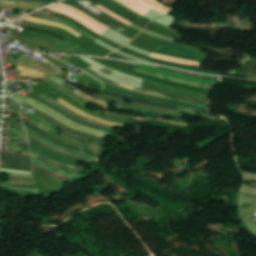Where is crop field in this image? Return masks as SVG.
Listing matches in <instances>:
<instances>
[{
	"label": "crop field",
	"instance_id": "45",
	"mask_svg": "<svg viewBox=\"0 0 256 256\" xmlns=\"http://www.w3.org/2000/svg\"><path fill=\"white\" fill-rule=\"evenodd\" d=\"M1 172V171H0ZM7 175H18V176H31V175H25V174H16V173H8V172H1Z\"/></svg>",
	"mask_w": 256,
	"mask_h": 256
},
{
	"label": "crop field",
	"instance_id": "1",
	"mask_svg": "<svg viewBox=\"0 0 256 256\" xmlns=\"http://www.w3.org/2000/svg\"><path fill=\"white\" fill-rule=\"evenodd\" d=\"M12 98H14L16 100H19V101H22V102H25V103L33 106L34 108H36V109L40 110L41 112L53 117L54 119H56L60 123L72 128V129L79 130V131L85 132L87 134L102 137V138H105V136L108 134V133H105V132H101V131H98V130H95V129H92V128H89V127H85V126L76 124V123L68 120L67 118H65L61 114H59L57 111L39 103V102H37L33 99H30L27 96L16 94V95L12 96Z\"/></svg>",
	"mask_w": 256,
	"mask_h": 256
},
{
	"label": "crop field",
	"instance_id": "17",
	"mask_svg": "<svg viewBox=\"0 0 256 256\" xmlns=\"http://www.w3.org/2000/svg\"><path fill=\"white\" fill-rule=\"evenodd\" d=\"M101 92H103L105 94L112 95V96H116V97H119V98H123V99H126V100H130V101H133V102L153 104V105H157V106H161V107H166V108H172V109H176V110L180 111V107H178V106H172V105H167V104H162V103H157V102L137 99V98H133V97L123 96V95H119V94L108 92V91H104V90H102Z\"/></svg>",
	"mask_w": 256,
	"mask_h": 256
},
{
	"label": "crop field",
	"instance_id": "16",
	"mask_svg": "<svg viewBox=\"0 0 256 256\" xmlns=\"http://www.w3.org/2000/svg\"><path fill=\"white\" fill-rule=\"evenodd\" d=\"M135 71L144 73V74H148V75H152L155 77H159L162 79H166V80H170V81H174V82H178V83H183V84H189V85H194V86H199V87H203V88H207V89H211L213 86L211 85H204V84H198V83H193V82H189V81H184V80H180V79H176V78H172V77H168L165 75H161V74H157V73H153L144 69H140V68H136Z\"/></svg>",
	"mask_w": 256,
	"mask_h": 256
},
{
	"label": "crop field",
	"instance_id": "6",
	"mask_svg": "<svg viewBox=\"0 0 256 256\" xmlns=\"http://www.w3.org/2000/svg\"><path fill=\"white\" fill-rule=\"evenodd\" d=\"M78 9H80L82 12H84L85 14H87L88 16L94 18L95 20L101 22L102 24L110 27L111 29L121 33L127 29H129L130 27L114 20L113 18L105 15V14H100L99 16L93 14L92 12L88 11L87 9L83 8V7H79Z\"/></svg>",
	"mask_w": 256,
	"mask_h": 256
},
{
	"label": "crop field",
	"instance_id": "40",
	"mask_svg": "<svg viewBox=\"0 0 256 256\" xmlns=\"http://www.w3.org/2000/svg\"><path fill=\"white\" fill-rule=\"evenodd\" d=\"M4 120L7 121V122L12 123L13 125L17 126V127L20 128L21 130L25 131V130H24V126H23L22 124H20V123L14 121V120H11V119H9V118H7V117H5Z\"/></svg>",
	"mask_w": 256,
	"mask_h": 256
},
{
	"label": "crop field",
	"instance_id": "4",
	"mask_svg": "<svg viewBox=\"0 0 256 256\" xmlns=\"http://www.w3.org/2000/svg\"><path fill=\"white\" fill-rule=\"evenodd\" d=\"M140 15H145L151 9L165 15L172 9L157 2L156 0H117Z\"/></svg>",
	"mask_w": 256,
	"mask_h": 256
},
{
	"label": "crop field",
	"instance_id": "26",
	"mask_svg": "<svg viewBox=\"0 0 256 256\" xmlns=\"http://www.w3.org/2000/svg\"><path fill=\"white\" fill-rule=\"evenodd\" d=\"M33 175H46L48 177L55 178V179L60 180L62 182L70 179L68 177H65V176H62V175H59V174H56V173L38 168V167H34V166H33Z\"/></svg>",
	"mask_w": 256,
	"mask_h": 256
},
{
	"label": "crop field",
	"instance_id": "20",
	"mask_svg": "<svg viewBox=\"0 0 256 256\" xmlns=\"http://www.w3.org/2000/svg\"><path fill=\"white\" fill-rule=\"evenodd\" d=\"M23 20L30 21V22L41 23V24H46V25H52V26H55V27H58V28H62V29L67 30L68 32H70L71 34H73L74 36H76L78 38L82 36L79 33H77L75 30H73L72 28L64 26V25H61V24H57V23L41 20V19H38V18H35V17H31V16H28V17H26Z\"/></svg>",
	"mask_w": 256,
	"mask_h": 256
},
{
	"label": "crop field",
	"instance_id": "9",
	"mask_svg": "<svg viewBox=\"0 0 256 256\" xmlns=\"http://www.w3.org/2000/svg\"><path fill=\"white\" fill-rule=\"evenodd\" d=\"M94 1H96L98 4L104 6L105 8L109 9L113 13L117 14L118 16L132 23L136 22L139 19L109 0H94Z\"/></svg>",
	"mask_w": 256,
	"mask_h": 256
},
{
	"label": "crop field",
	"instance_id": "35",
	"mask_svg": "<svg viewBox=\"0 0 256 256\" xmlns=\"http://www.w3.org/2000/svg\"><path fill=\"white\" fill-rule=\"evenodd\" d=\"M1 160L11 161V162H19V163H31V160L20 159V158H12V157H4V156H1Z\"/></svg>",
	"mask_w": 256,
	"mask_h": 256
},
{
	"label": "crop field",
	"instance_id": "28",
	"mask_svg": "<svg viewBox=\"0 0 256 256\" xmlns=\"http://www.w3.org/2000/svg\"><path fill=\"white\" fill-rule=\"evenodd\" d=\"M0 168L12 169V170H21V171H31V165L11 163V162H8L6 167L0 166Z\"/></svg>",
	"mask_w": 256,
	"mask_h": 256
},
{
	"label": "crop field",
	"instance_id": "33",
	"mask_svg": "<svg viewBox=\"0 0 256 256\" xmlns=\"http://www.w3.org/2000/svg\"><path fill=\"white\" fill-rule=\"evenodd\" d=\"M29 97H31V98H33V99H35V100H37V101H40V102H42V103H44V104H46V105H48V106L54 108L55 110L59 111V110H58L57 108H55L54 106H51V105L45 103L44 101H42V100H40V99H37V98H35V97L31 96V95H30ZM59 112H60L61 114H63L65 117H67V118H69L70 120H72V121H74V122H77V123H79V124H82V125H85V126H89V127L95 128V129H99V130H102V131H105V132H109V133L111 132V131H108V130H103V129H100V128H97V127H94V126H91V125H88V124H85V123H82V122H80V121L74 120V119H72L71 117H69L68 115L62 113L61 111H59Z\"/></svg>",
	"mask_w": 256,
	"mask_h": 256
},
{
	"label": "crop field",
	"instance_id": "21",
	"mask_svg": "<svg viewBox=\"0 0 256 256\" xmlns=\"http://www.w3.org/2000/svg\"><path fill=\"white\" fill-rule=\"evenodd\" d=\"M70 61L74 62L75 64L79 65L80 67L84 68L85 70L89 71L90 73L94 74L95 76H97V77H99V78H101V79H104V80H106V81H108V82H110V83H112V84H114V85L122 86V87H126V88H130V89H134V90H139V91L154 93V92H150V91H145V90H141V89H137V88H133V87H128V86L120 85V84H118V83L109 81V80H107V79H105V78H103V77H101V76L95 74V73L92 72L90 69H88V68H86V67L80 65L79 63L75 62L74 60L71 59ZM154 94L169 96V97H173V98H177V99H181V100H185V101H189V102H193V103H197V104H203V103H204V102H203V103H199V102H195V101H192V100H188V99H184V98H180V97H176V96H171V95H166V94H160V93H154ZM207 104H208V103H207ZM207 104H203V105H207ZM208 106H209V105H208Z\"/></svg>",
	"mask_w": 256,
	"mask_h": 256
},
{
	"label": "crop field",
	"instance_id": "2",
	"mask_svg": "<svg viewBox=\"0 0 256 256\" xmlns=\"http://www.w3.org/2000/svg\"><path fill=\"white\" fill-rule=\"evenodd\" d=\"M154 53L168 55L172 57L204 62L209 56L208 53L190 47L180 46L166 41L161 47L153 51Z\"/></svg>",
	"mask_w": 256,
	"mask_h": 256
},
{
	"label": "crop field",
	"instance_id": "22",
	"mask_svg": "<svg viewBox=\"0 0 256 256\" xmlns=\"http://www.w3.org/2000/svg\"><path fill=\"white\" fill-rule=\"evenodd\" d=\"M31 155L33 157H35V158H37V159L47 163V164L53 166V167H57V168H61V169H67V170H72V171H76V172H79V173H81L83 171V169H80V168H76V167H72V166H68V165H64V164H59V163H57L55 161L46 159V158H44V157H42L40 155H37V154H35L33 152H31Z\"/></svg>",
	"mask_w": 256,
	"mask_h": 256
},
{
	"label": "crop field",
	"instance_id": "31",
	"mask_svg": "<svg viewBox=\"0 0 256 256\" xmlns=\"http://www.w3.org/2000/svg\"><path fill=\"white\" fill-rule=\"evenodd\" d=\"M1 3L24 4V5L40 6V7L48 5V4L38 3V2H27V1H17V0H2Z\"/></svg>",
	"mask_w": 256,
	"mask_h": 256
},
{
	"label": "crop field",
	"instance_id": "32",
	"mask_svg": "<svg viewBox=\"0 0 256 256\" xmlns=\"http://www.w3.org/2000/svg\"><path fill=\"white\" fill-rule=\"evenodd\" d=\"M159 68L163 69V70H167V71H171V72L187 75V76H192V77H198V78H204V79H210V80L219 81V78L200 76V75H196V74H192V73H187V72H183V71H178V70H174V69H167V68H161V67H159Z\"/></svg>",
	"mask_w": 256,
	"mask_h": 256
},
{
	"label": "crop field",
	"instance_id": "10",
	"mask_svg": "<svg viewBox=\"0 0 256 256\" xmlns=\"http://www.w3.org/2000/svg\"><path fill=\"white\" fill-rule=\"evenodd\" d=\"M36 97H38V98H40V99H42V100H44V101H46V102H48V103H50V104H52V105H54V106L60 108V109L63 110L65 113H67L68 115H70L71 117H73V118H75V119H78V120H80V121H83V122L92 124V125L97 126V127H100V128L108 129V130H111V131H112V129H113V127H110V126H107V125H104V124H100V123L91 121V120L86 119V118H83V117H81V116H79V115H77V114H75V113H72V112H70L71 110L69 111V110L66 109L64 106H62V105L56 103L55 101H53V100H51V99H49V98H47V97H45V96H43V95H41V94L37 95ZM63 111H62V112H63Z\"/></svg>",
	"mask_w": 256,
	"mask_h": 256
},
{
	"label": "crop field",
	"instance_id": "25",
	"mask_svg": "<svg viewBox=\"0 0 256 256\" xmlns=\"http://www.w3.org/2000/svg\"><path fill=\"white\" fill-rule=\"evenodd\" d=\"M25 34L28 35V36H32V37L47 39V40H49V41H51V42H54V43H56V44H58V45L64 47L65 49H67V50L73 52L74 54H81V53H79L78 51H76L75 49H73L72 47H70V46H68V45H66V44H64V43H62V42H60V41H58V40H56V39H53V38H51V37H48V36H46V35L37 34V33H33V32H28V31H25Z\"/></svg>",
	"mask_w": 256,
	"mask_h": 256
},
{
	"label": "crop field",
	"instance_id": "29",
	"mask_svg": "<svg viewBox=\"0 0 256 256\" xmlns=\"http://www.w3.org/2000/svg\"><path fill=\"white\" fill-rule=\"evenodd\" d=\"M26 30L28 31H33V32H39V33H44V34H48L54 38H57L63 42H65L66 40H68V38L60 35V34H57V33H54V32H51V31H48V30H43V29H36V28H29V27H26Z\"/></svg>",
	"mask_w": 256,
	"mask_h": 256
},
{
	"label": "crop field",
	"instance_id": "3",
	"mask_svg": "<svg viewBox=\"0 0 256 256\" xmlns=\"http://www.w3.org/2000/svg\"><path fill=\"white\" fill-rule=\"evenodd\" d=\"M47 9H51V10L57 11L59 13L68 15V16L78 20L79 22H81L82 24H84L85 26H87L88 28L92 29L93 31H95L96 33H98L100 35L108 29V27H106V26L96 22L94 19L86 16L87 14L85 15L81 11L74 9L73 7L65 6L61 3H58V4L51 6Z\"/></svg>",
	"mask_w": 256,
	"mask_h": 256
},
{
	"label": "crop field",
	"instance_id": "5",
	"mask_svg": "<svg viewBox=\"0 0 256 256\" xmlns=\"http://www.w3.org/2000/svg\"><path fill=\"white\" fill-rule=\"evenodd\" d=\"M93 97H97V98H99L103 101L110 102V103L115 101V102H117L118 106L141 109V110H147V111H153V112H159V113H165V114H171V115L182 117L181 112L176 111V110L154 107V106H148V105L137 104V103L127 104V103H124L123 99H119V98L112 97V96H109V95H105V94H102V93H100L99 95L94 94Z\"/></svg>",
	"mask_w": 256,
	"mask_h": 256
},
{
	"label": "crop field",
	"instance_id": "23",
	"mask_svg": "<svg viewBox=\"0 0 256 256\" xmlns=\"http://www.w3.org/2000/svg\"><path fill=\"white\" fill-rule=\"evenodd\" d=\"M32 161H33V165H35V166H39V167H42V168H45V169L63 174V175L68 176L70 178L80 176V174L74 173L72 171H65V170L53 168V167H51V166H49L45 163H42V162L38 161L37 159H35L33 157H32Z\"/></svg>",
	"mask_w": 256,
	"mask_h": 256
},
{
	"label": "crop field",
	"instance_id": "12",
	"mask_svg": "<svg viewBox=\"0 0 256 256\" xmlns=\"http://www.w3.org/2000/svg\"><path fill=\"white\" fill-rule=\"evenodd\" d=\"M133 65L142 67V68L150 70V71L162 73V74H165V75H168V76H172V77H176V78H180V79H184V80H189V81H193V82L204 83V84H211V85H215L217 83L216 81H210V80H204V79H198V78H192V77H186V76L174 74V73L163 71V70H159V69L147 66V65H141V64H133Z\"/></svg>",
	"mask_w": 256,
	"mask_h": 256
},
{
	"label": "crop field",
	"instance_id": "37",
	"mask_svg": "<svg viewBox=\"0 0 256 256\" xmlns=\"http://www.w3.org/2000/svg\"><path fill=\"white\" fill-rule=\"evenodd\" d=\"M8 180H15V181H33L30 177H17V176H8Z\"/></svg>",
	"mask_w": 256,
	"mask_h": 256
},
{
	"label": "crop field",
	"instance_id": "24",
	"mask_svg": "<svg viewBox=\"0 0 256 256\" xmlns=\"http://www.w3.org/2000/svg\"><path fill=\"white\" fill-rule=\"evenodd\" d=\"M40 18H43V19H47V20H51V21H55V22H59V23H62L64 25H68L70 27H72L73 29H75L77 32L81 33L82 35H84L85 37L91 39V40H96V38H94L93 36H91L90 34L86 33L85 31H83L82 29H80L79 27L75 26L74 24L70 23V22H67L65 20H61V19H57V18H54V17H51L49 15H45V14H42Z\"/></svg>",
	"mask_w": 256,
	"mask_h": 256
},
{
	"label": "crop field",
	"instance_id": "41",
	"mask_svg": "<svg viewBox=\"0 0 256 256\" xmlns=\"http://www.w3.org/2000/svg\"><path fill=\"white\" fill-rule=\"evenodd\" d=\"M2 155L14 156V157H21V158L30 159V157H29L28 155H24V154L2 153Z\"/></svg>",
	"mask_w": 256,
	"mask_h": 256
},
{
	"label": "crop field",
	"instance_id": "13",
	"mask_svg": "<svg viewBox=\"0 0 256 256\" xmlns=\"http://www.w3.org/2000/svg\"><path fill=\"white\" fill-rule=\"evenodd\" d=\"M34 114H36V115H38V116H40V117H42V118L48 120L49 122H51V123L54 124L55 126H57V127L61 128V129L65 130V131H67V132H69V133H71V134H73V135L80 136V137H84V138L91 139V140L98 141V142H101V143L105 144L104 141H103V139L97 138V137H93V136H90V135H87V134H84V133H80V132H77V131H74V130H71V129H69V128L63 126V125L60 124L59 122H57V121H55V120L49 118L48 116H46L45 114L41 113V112L38 111V110H37Z\"/></svg>",
	"mask_w": 256,
	"mask_h": 256
},
{
	"label": "crop field",
	"instance_id": "7",
	"mask_svg": "<svg viewBox=\"0 0 256 256\" xmlns=\"http://www.w3.org/2000/svg\"><path fill=\"white\" fill-rule=\"evenodd\" d=\"M23 120V119H22ZM24 122V125L31 128L32 130H34L36 133H38L39 135L43 136L44 138L58 144V145H62V146H65V147H68L70 149H73V150H76V151H80V152H84V153H88V154H92V155H96V156H102V154H99V153H95V152H92V151H89V150H86V149H82V148H79V147H76V146H73L71 144H68V143H65V142H62L52 136H50L49 134L45 133L44 131H42L41 129H39L38 127L34 126L33 124L23 120Z\"/></svg>",
	"mask_w": 256,
	"mask_h": 256
},
{
	"label": "crop field",
	"instance_id": "42",
	"mask_svg": "<svg viewBox=\"0 0 256 256\" xmlns=\"http://www.w3.org/2000/svg\"><path fill=\"white\" fill-rule=\"evenodd\" d=\"M111 1H113V2L116 3V4H118V5L121 6L122 8L126 9V10L129 11L130 13H132V14H134V15L140 17V18L142 17V16L136 14L135 12L131 11V10L128 9L127 7L123 6L122 4L118 3L117 1H115V0H111Z\"/></svg>",
	"mask_w": 256,
	"mask_h": 256
},
{
	"label": "crop field",
	"instance_id": "36",
	"mask_svg": "<svg viewBox=\"0 0 256 256\" xmlns=\"http://www.w3.org/2000/svg\"><path fill=\"white\" fill-rule=\"evenodd\" d=\"M82 77L86 78L88 81H90L93 85H95L96 87L102 89L103 84L95 79H93L92 77L88 76V75H83Z\"/></svg>",
	"mask_w": 256,
	"mask_h": 256
},
{
	"label": "crop field",
	"instance_id": "11",
	"mask_svg": "<svg viewBox=\"0 0 256 256\" xmlns=\"http://www.w3.org/2000/svg\"><path fill=\"white\" fill-rule=\"evenodd\" d=\"M26 131H27V134L48 144L49 146L55 148V149H58V150H61V151H64V152H67L69 154H72L74 156H78V157H82V158H86V159H90V160H96V161H99V159L97 157H93V156H90V155H86V154H83V153H80V152H76V151H73V150H70L68 148H65V147H62V146H58V145H55L49 141H47L46 139L42 138L41 136H39L38 134H36L34 131L26 128Z\"/></svg>",
	"mask_w": 256,
	"mask_h": 256
},
{
	"label": "crop field",
	"instance_id": "44",
	"mask_svg": "<svg viewBox=\"0 0 256 256\" xmlns=\"http://www.w3.org/2000/svg\"><path fill=\"white\" fill-rule=\"evenodd\" d=\"M27 1H38V2H44V3L51 4V3H54L58 0H27Z\"/></svg>",
	"mask_w": 256,
	"mask_h": 256
},
{
	"label": "crop field",
	"instance_id": "19",
	"mask_svg": "<svg viewBox=\"0 0 256 256\" xmlns=\"http://www.w3.org/2000/svg\"><path fill=\"white\" fill-rule=\"evenodd\" d=\"M28 139H29L31 142L35 143L36 145H38V146H40V147H42V148H44V149H46V150H48V151H50V152L56 154V155L64 156V157H67V158H70V159H73V160H77V161H82V162L90 161V160H86V159L74 157V156L69 155V154H67V153H64V152L55 150V149H53V148H51V147L45 145L44 143H42V142H40V141H38V140H36V139L30 137V136H28ZM90 162H92V161H90Z\"/></svg>",
	"mask_w": 256,
	"mask_h": 256
},
{
	"label": "crop field",
	"instance_id": "43",
	"mask_svg": "<svg viewBox=\"0 0 256 256\" xmlns=\"http://www.w3.org/2000/svg\"><path fill=\"white\" fill-rule=\"evenodd\" d=\"M69 57H71L72 59L76 60L77 62H79L80 64H82L86 67L91 66V65L87 64L86 62L82 61L81 59H79L78 57H72V56H69Z\"/></svg>",
	"mask_w": 256,
	"mask_h": 256
},
{
	"label": "crop field",
	"instance_id": "14",
	"mask_svg": "<svg viewBox=\"0 0 256 256\" xmlns=\"http://www.w3.org/2000/svg\"><path fill=\"white\" fill-rule=\"evenodd\" d=\"M31 123L35 124L36 126H38L39 128H41L42 130L48 132L49 134L55 136L56 138L60 139V140H63V141H66L68 143H72L76 146H80V147H83V148H86V149H89V150H93V151H99L101 153H103L104 150H101V149H98V148H95V147H92L90 145H87V144H82V143H78L76 141H73L71 139H68V138H65L59 134H57L56 132L52 131L51 129H49L48 127L36 122V121H31Z\"/></svg>",
	"mask_w": 256,
	"mask_h": 256
},
{
	"label": "crop field",
	"instance_id": "34",
	"mask_svg": "<svg viewBox=\"0 0 256 256\" xmlns=\"http://www.w3.org/2000/svg\"><path fill=\"white\" fill-rule=\"evenodd\" d=\"M62 135L66 136L68 138H71V139H75V140L90 144V145L98 147V148L104 149L103 145H100V144H97V143H94V142H91V141H88V140H85V139H82V138H79V137H76V136H73V135H69V134H66L64 132H62Z\"/></svg>",
	"mask_w": 256,
	"mask_h": 256
},
{
	"label": "crop field",
	"instance_id": "8",
	"mask_svg": "<svg viewBox=\"0 0 256 256\" xmlns=\"http://www.w3.org/2000/svg\"><path fill=\"white\" fill-rule=\"evenodd\" d=\"M104 88L109 89V90H113V91H116V92L124 93V94H127V95H131V96L142 97V98H146V99H151V100L160 101V102H164V103H168V104L183 106V107H187V108H191V109H195V110H200V111H205V112L208 111V110H205V109L200 108V107L195 106V105L183 104V103H179V102H175V101H169V100L155 98V97H151V96H147V95L137 94V93L117 89V88H114V87H111V86H108V85H105Z\"/></svg>",
	"mask_w": 256,
	"mask_h": 256
},
{
	"label": "crop field",
	"instance_id": "30",
	"mask_svg": "<svg viewBox=\"0 0 256 256\" xmlns=\"http://www.w3.org/2000/svg\"><path fill=\"white\" fill-rule=\"evenodd\" d=\"M69 64H72V65H74V66L80 68L79 66L75 65L74 63H72V62H70V61H69ZM80 69L83 70V71H85V70L82 69V68H80ZM85 72L88 73L89 75L95 77L94 75L90 74L89 72H87V71H85ZM95 78H97V77H95ZM97 79H99V78H97ZM99 80H100L101 82L105 83V84L111 85V84H109V83H107V82H105V81H103V80H101V79H99ZM112 86H113V85H112ZM116 87H117V86H116ZM119 88H121V87H119ZM123 89H125V88H123ZM126 90H129V89H126ZM129 91H133V92H137V93H143V94H148V95H153V96H158V97H163V98H168V97H164V96H159V95H154V94H149V93H144V92H139V91H134V90H129ZM168 99H172V98H168ZM172 100H176V99H172ZM176 101H180V100H176ZM181 102H184V101H181ZM187 103H188V102H187ZM191 104H193V103H191ZM195 105H197V104H195ZM198 106L204 107V108H207V109L209 108L208 106H203V105H198Z\"/></svg>",
	"mask_w": 256,
	"mask_h": 256
},
{
	"label": "crop field",
	"instance_id": "39",
	"mask_svg": "<svg viewBox=\"0 0 256 256\" xmlns=\"http://www.w3.org/2000/svg\"><path fill=\"white\" fill-rule=\"evenodd\" d=\"M30 117L36 119L38 122H40V123H42V124H44V125L50 127L51 129H53V130L56 131V132H58L57 129H56V127L52 126L51 124L47 123L46 121H44V120H42V119H40V118H38V117H36V116H34V115H31Z\"/></svg>",
	"mask_w": 256,
	"mask_h": 256
},
{
	"label": "crop field",
	"instance_id": "27",
	"mask_svg": "<svg viewBox=\"0 0 256 256\" xmlns=\"http://www.w3.org/2000/svg\"><path fill=\"white\" fill-rule=\"evenodd\" d=\"M150 57L160 59V60H166V61H171V62H177V63H183V64H190V65H196L199 66L200 63L198 62H192V61H187V60H181V59H176V58H171L167 56H162L158 54L151 53Z\"/></svg>",
	"mask_w": 256,
	"mask_h": 256
},
{
	"label": "crop field",
	"instance_id": "15",
	"mask_svg": "<svg viewBox=\"0 0 256 256\" xmlns=\"http://www.w3.org/2000/svg\"><path fill=\"white\" fill-rule=\"evenodd\" d=\"M30 149L49 158V159H52V160H55V161H59V162H62V163H65V164H68V165H72V166H76V167H81V166H78L76 165V161H73V160H70V159H67V158H64V157H60V156H56V155H53L43 149H41L40 147L30 143ZM82 168H85V167H82Z\"/></svg>",
	"mask_w": 256,
	"mask_h": 256
},
{
	"label": "crop field",
	"instance_id": "18",
	"mask_svg": "<svg viewBox=\"0 0 256 256\" xmlns=\"http://www.w3.org/2000/svg\"><path fill=\"white\" fill-rule=\"evenodd\" d=\"M132 73L136 74V75H139V76H143V78H146V79L158 82V83L166 84V85L187 88V89H191V90H195V91H199V92H203V93H207V91H208V90H205V89L194 88V87H190V86H186V85H182V84H178V83L162 80V79H159V78H155V77H152V76L144 75V74L137 73V72H134V71Z\"/></svg>",
	"mask_w": 256,
	"mask_h": 256
},
{
	"label": "crop field",
	"instance_id": "38",
	"mask_svg": "<svg viewBox=\"0 0 256 256\" xmlns=\"http://www.w3.org/2000/svg\"><path fill=\"white\" fill-rule=\"evenodd\" d=\"M97 8H99V9L103 10L105 13H107V14H109V15H111V16H113V17H115L116 19H118V20H120V21H122V22L126 23L127 25H130V24H131V23H129V22H127V21H125V20L121 19L120 17H118V16H116V15L112 14L111 12H109V11L105 10V9H104L102 6H100V5H98V6H97Z\"/></svg>",
	"mask_w": 256,
	"mask_h": 256
}]
</instances>
